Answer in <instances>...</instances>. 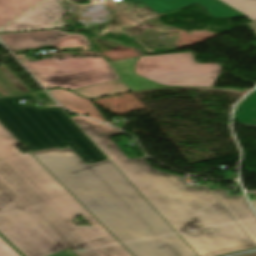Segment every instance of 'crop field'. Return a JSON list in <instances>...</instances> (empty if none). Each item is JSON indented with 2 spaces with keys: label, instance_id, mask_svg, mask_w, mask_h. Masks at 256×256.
Masks as SVG:
<instances>
[{
  "label": "crop field",
  "instance_id": "crop-field-1",
  "mask_svg": "<svg viewBox=\"0 0 256 256\" xmlns=\"http://www.w3.org/2000/svg\"><path fill=\"white\" fill-rule=\"evenodd\" d=\"M17 144L0 124V233L9 242L25 256H132ZM79 214L93 226H76Z\"/></svg>",
  "mask_w": 256,
  "mask_h": 256
},
{
  "label": "crop field",
  "instance_id": "crop-field-2",
  "mask_svg": "<svg viewBox=\"0 0 256 256\" xmlns=\"http://www.w3.org/2000/svg\"><path fill=\"white\" fill-rule=\"evenodd\" d=\"M134 256H197L110 161L69 147L32 153Z\"/></svg>",
  "mask_w": 256,
  "mask_h": 256
},
{
  "label": "crop field",
  "instance_id": "crop-field-3",
  "mask_svg": "<svg viewBox=\"0 0 256 256\" xmlns=\"http://www.w3.org/2000/svg\"><path fill=\"white\" fill-rule=\"evenodd\" d=\"M71 119L198 256L256 247L207 185L189 188L181 176L154 170L143 157L129 160L108 138L122 132L80 116Z\"/></svg>",
  "mask_w": 256,
  "mask_h": 256
},
{
  "label": "crop field",
  "instance_id": "crop-field-4",
  "mask_svg": "<svg viewBox=\"0 0 256 256\" xmlns=\"http://www.w3.org/2000/svg\"><path fill=\"white\" fill-rule=\"evenodd\" d=\"M18 99L38 98L30 93L0 99V122L31 152L68 145L86 164L108 159L63 109L37 108Z\"/></svg>",
  "mask_w": 256,
  "mask_h": 256
},
{
  "label": "crop field",
  "instance_id": "crop-field-5",
  "mask_svg": "<svg viewBox=\"0 0 256 256\" xmlns=\"http://www.w3.org/2000/svg\"><path fill=\"white\" fill-rule=\"evenodd\" d=\"M19 58L47 89L72 90L120 79L103 57Z\"/></svg>",
  "mask_w": 256,
  "mask_h": 256
},
{
  "label": "crop field",
  "instance_id": "crop-field-6",
  "mask_svg": "<svg viewBox=\"0 0 256 256\" xmlns=\"http://www.w3.org/2000/svg\"><path fill=\"white\" fill-rule=\"evenodd\" d=\"M222 67L219 63H196L194 53L142 56L135 73L167 85L213 87Z\"/></svg>",
  "mask_w": 256,
  "mask_h": 256
},
{
  "label": "crop field",
  "instance_id": "crop-field-7",
  "mask_svg": "<svg viewBox=\"0 0 256 256\" xmlns=\"http://www.w3.org/2000/svg\"><path fill=\"white\" fill-rule=\"evenodd\" d=\"M0 39L15 54H22L50 46L59 51L89 50L96 48L83 34H69L62 30L2 34Z\"/></svg>",
  "mask_w": 256,
  "mask_h": 256
},
{
  "label": "crop field",
  "instance_id": "crop-field-8",
  "mask_svg": "<svg viewBox=\"0 0 256 256\" xmlns=\"http://www.w3.org/2000/svg\"><path fill=\"white\" fill-rule=\"evenodd\" d=\"M66 11L57 0H45L31 11L5 27L1 32L64 27V22L61 21L62 15Z\"/></svg>",
  "mask_w": 256,
  "mask_h": 256
},
{
  "label": "crop field",
  "instance_id": "crop-field-9",
  "mask_svg": "<svg viewBox=\"0 0 256 256\" xmlns=\"http://www.w3.org/2000/svg\"><path fill=\"white\" fill-rule=\"evenodd\" d=\"M143 3L159 14L198 3L214 18L245 17L217 0H145Z\"/></svg>",
  "mask_w": 256,
  "mask_h": 256
},
{
  "label": "crop field",
  "instance_id": "crop-field-10",
  "mask_svg": "<svg viewBox=\"0 0 256 256\" xmlns=\"http://www.w3.org/2000/svg\"><path fill=\"white\" fill-rule=\"evenodd\" d=\"M213 193L228 209L256 245V216L249 208L244 196L229 197L223 188L213 190Z\"/></svg>",
  "mask_w": 256,
  "mask_h": 256
},
{
  "label": "crop field",
  "instance_id": "crop-field-11",
  "mask_svg": "<svg viewBox=\"0 0 256 256\" xmlns=\"http://www.w3.org/2000/svg\"><path fill=\"white\" fill-rule=\"evenodd\" d=\"M140 57L110 62V66L119 75L124 84L130 91L141 90L147 88L166 86L147 80L134 73V62Z\"/></svg>",
  "mask_w": 256,
  "mask_h": 256
},
{
  "label": "crop field",
  "instance_id": "crop-field-12",
  "mask_svg": "<svg viewBox=\"0 0 256 256\" xmlns=\"http://www.w3.org/2000/svg\"><path fill=\"white\" fill-rule=\"evenodd\" d=\"M50 93L66 108L92 117L104 123H107L105 118L98 112L92 103L78 95H75L66 90H50Z\"/></svg>",
  "mask_w": 256,
  "mask_h": 256
},
{
  "label": "crop field",
  "instance_id": "crop-field-13",
  "mask_svg": "<svg viewBox=\"0 0 256 256\" xmlns=\"http://www.w3.org/2000/svg\"><path fill=\"white\" fill-rule=\"evenodd\" d=\"M41 0H0V28Z\"/></svg>",
  "mask_w": 256,
  "mask_h": 256
},
{
  "label": "crop field",
  "instance_id": "crop-field-14",
  "mask_svg": "<svg viewBox=\"0 0 256 256\" xmlns=\"http://www.w3.org/2000/svg\"><path fill=\"white\" fill-rule=\"evenodd\" d=\"M29 92V88L7 66L0 67V97Z\"/></svg>",
  "mask_w": 256,
  "mask_h": 256
},
{
  "label": "crop field",
  "instance_id": "crop-field-15",
  "mask_svg": "<svg viewBox=\"0 0 256 256\" xmlns=\"http://www.w3.org/2000/svg\"><path fill=\"white\" fill-rule=\"evenodd\" d=\"M72 91L88 99H92V98H97V97H102L107 95L128 92L129 90L122 83L121 80H118L114 82L104 83V84L76 89Z\"/></svg>",
  "mask_w": 256,
  "mask_h": 256
},
{
  "label": "crop field",
  "instance_id": "crop-field-16",
  "mask_svg": "<svg viewBox=\"0 0 256 256\" xmlns=\"http://www.w3.org/2000/svg\"><path fill=\"white\" fill-rule=\"evenodd\" d=\"M234 120L245 127H256V89L236 107Z\"/></svg>",
  "mask_w": 256,
  "mask_h": 256
},
{
  "label": "crop field",
  "instance_id": "crop-field-17",
  "mask_svg": "<svg viewBox=\"0 0 256 256\" xmlns=\"http://www.w3.org/2000/svg\"><path fill=\"white\" fill-rule=\"evenodd\" d=\"M244 13L249 19L256 20V0H220Z\"/></svg>",
  "mask_w": 256,
  "mask_h": 256
},
{
  "label": "crop field",
  "instance_id": "crop-field-18",
  "mask_svg": "<svg viewBox=\"0 0 256 256\" xmlns=\"http://www.w3.org/2000/svg\"><path fill=\"white\" fill-rule=\"evenodd\" d=\"M0 256H20V255L0 237Z\"/></svg>",
  "mask_w": 256,
  "mask_h": 256
},
{
  "label": "crop field",
  "instance_id": "crop-field-19",
  "mask_svg": "<svg viewBox=\"0 0 256 256\" xmlns=\"http://www.w3.org/2000/svg\"><path fill=\"white\" fill-rule=\"evenodd\" d=\"M225 179H235V169H232V173H226Z\"/></svg>",
  "mask_w": 256,
  "mask_h": 256
},
{
  "label": "crop field",
  "instance_id": "crop-field-20",
  "mask_svg": "<svg viewBox=\"0 0 256 256\" xmlns=\"http://www.w3.org/2000/svg\"><path fill=\"white\" fill-rule=\"evenodd\" d=\"M249 26L252 28V30L256 34V21L249 23Z\"/></svg>",
  "mask_w": 256,
  "mask_h": 256
},
{
  "label": "crop field",
  "instance_id": "crop-field-21",
  "mask_svg": "<svg viewBox=\"0 0 256 256\" xmlns=\"http://www.w3.org/2000/svg\"><path fill=\"white\" fill-rule=\"evenodd\" d=\"M252 203H253V205H254V207L256 209V200H252Z\"/></svg>",
  "mask_w": 256,
  "mask_h": 256
},
{
  "label": "crop field",
  "instance_id": "crop-field-22",
  "mask_svg": "<svg viewBox=\"0 0 256 256\" xmlns=\"http://www.w3.org/2000/svg\"><path fill=\"white\" fill-rule=\"evenodd\" d=\"M244 256H256V253H254V254H249V255H244Z\"/></svg>",
  "mask_w": 256,
  "mask_h": 256
},
{
  "label": "crop field",
  "instance_id": "crop-field-23",
  "mask_svg": "<svg viewBox=\"0 0 256 256\" xmlns=\"http://www.w3.org/2000/svg\"><path fill=\"white\" fill-rule=\"evenodd\" d=\"M131 1L133 2V4H135V3L139 2V1H134V0H131Z\"/></svg>",
  "mask_w": 256,
  "mask_h": 256
},
{
  "label": "crop field",
  "instance_id": "crop-field-24",
  "mask_svg": "<svg viewBox=\"0 0 256 256\" xmlns=\"http://www.w3.org/2000/svg\"><path fill=\"white\" fill-rule=\"evenodd\" d=\"M139 1H143V0H139Z\"/></svg>",
  "mask_w": 256,
  "mask_h": 256
},
{
  "label": "crop field",
  "instance_id": "crop-field-25",
  "mask_svg": "<svg viewBox=\"0 0 256 256\" xmlns=\"http://www.w3.org/2000/svg\"><path fill=\"white\" fill-rule=\"evenodd\" d=\"M1 45V44H0Z\"/></svg>",
  "mask_w": 256,
  "mask_h": 256
}]
</instances>
